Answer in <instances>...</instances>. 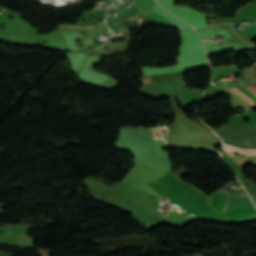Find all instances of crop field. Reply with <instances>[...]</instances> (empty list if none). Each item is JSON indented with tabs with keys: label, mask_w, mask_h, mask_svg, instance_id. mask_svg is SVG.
Wrapping results in <instances>:
<instances>
[{
	"label": "crop field",
	"mask_w": 256,
	"mask_h": 256,
	"mask_svg": "<svg viewBox=\"0 0 256 256\" xmlns=\"http://www.w3.org/2000/svg\"><path fill=\"white\" fill-rule=\"evenodd\" d=\"M232 89L235 90L238 94H240L244 99H246V100H247L250 104H252L254 107H256V102H254V101H253L250 97H248L245 93H243L242 91L238 90V89L235 88V87L232 88ZM232 89H231V90H232ZM235 91H234V92H235ZM246 100H245V101H246ZM247 101H246V102H247ZM252 105H251V106H252ZM253 106H252V107H253Z\"/></svg>",
	"instance_id": "8a807250"
},
{
	"label": "crop field",
	"mask_w": 256,
	"mask_h": 256,
	"mask_svg": "<svg viewBox=\"0 0 256 256\" xmlns=\"http://www.w3.org/2000/svg\"><path fill=\"white\" fill-rule=\"evenodd\" d=\"M242 86L245 87L250 92H252L254 95H256V88L255 87L248 86V85H242Z\"/></svg>",
	"instance_id": "ac0d7876"
},
{
	"label": "crop field",
	"mask_w": 256,
	"mask_h": 256,
	"mask_svg": "<svg viewBox=\"0 0 256 256\" xmlns=\"http://www.w3.org/2000/svg\"><path fill=\"white\" fill-rule=\"evenodd\" d=\"M221 192V191H220Z\"/></svg>",
	"instance_id": "34b2d1b8"
}]
</instances>
